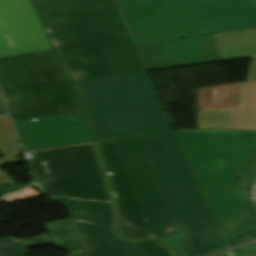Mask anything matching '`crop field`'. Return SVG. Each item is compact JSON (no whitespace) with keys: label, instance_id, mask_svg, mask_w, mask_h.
<instances>
[{"label":"crop field","instance_id":"obj_1","mask_svg":"<svg viewBox=\"0 0 256 256\" xmlns=\"http://www.w3.org/2000/svg\"><path fill=\"white\" fill-rule=\"evenodd\" d=\"M95 141L172 130L113 0H33Z\"/></svg>","mask_w":256,"mask_h":256},{"label":"crop field","instance_id":"obj_2","mask_svg":"<svg viewBox=\"0 0 256 256\" xmlns=\"http://www.w3.org/2000/svg\"><path fill=\"white\" fill-rule=\"evenodd\" d=\"M175 133L228 247L256 239V131Z\"/></svg>","mask_w":256,"mask_h":256},{"label":"crop field","instance_id":"obj_3","mask_svg":"<svg viewBox=\"0 0 256 256\" xmlns=\"http://www.w3.org/2000/svg\"><path fill=\"white\" fill-rule=\"evenodd\" d=\"M136 45L256 28V0H116Z\"/></svg>","mask_w":256,"mask_h":256},{"label":"crop field","instance_id":"obj_4","mask_svg":"<svg viewBox=\"0 0 256 256\" xmlns=\"http://www.w3.org/2000/svg\"><path fill=\"white\" fill-rule=\"evenodd\" d=\"M108 175L123 238L156 239L175 231L139 137L96 144Z\"/></svg>","mask_w":256,"mask_h":256},{"label":"crop field","instance_id":"obj_5","mask_svg":"<svg viewBox=\"0 0 256 256\" xmlns=\"http://www.w3.org/2000/svg\"><path fill=\"white\" fill-rule=\"evenodd\" d=\"M179 232L158 239L180 256L228 248L173 132L141 137Z\"/></svg>","mask_w":256,"mask_h":256},{"label":"crop field","instance_id":"obj_6","mask_svg":"<svg viewBox=\"0 0 256 256\" xmlns=\"http://www.w3.org/2000/svg\"><path fill=\"white\" fill-rule=\"evenodd\" d=\"M0 86L21 94L7 105L13 120L82 111L54 51L0 59Z\"/></svg>","mask_w":256,"mask_h":256},{"label":"crop field","instance_id":"obj_7","mask_svg":"<svg viewBox=\"0 0 256 256\" xmlns=\"http://www.w3.org/2000/svg\"><path fill=\"white\" fill-rule=\"evenodd\" d=\"M44 226L50 233L40 238L0 240V256H25L27 248L47 243L70 252L67 256H176L155 241H125L112 228L86 222L62 220Z\"/></svg>","mask_w":256,"mask_h":256},{"label":"crop field","instance_id":"obj_8","mask_svg":"<svg viewBox=\"0 0 256 256\" xmlns=\"http://www.w3.org/2000/svg\"><path fill=\"white\" fill-rule=\"evenodd\" d=\"M31 154L28 162L35 185L49 197L111 202L93 144Z\"/></svg>","mask_w":256,"mask_h":256},{"label":"crop field","instance_id":"obj_9","mask_svg":"<svg viewBox=\"0 0 256 256\" xmlns=\"http://www.w3.org/2000/svg\"><path fill=\"white\" fill-rule=\"evenodd\" d=\"M0 21L12 41L0 25V57L52 49L30 0H0Z\"/></svg>","mask_w":256,"mask_h":256},{"label":"crop field","instance_id":"obj_10","mask_svg":"<svg viewBox=\"0 0 256 256\" xmlns=\"http://www.w3.org/2000/svg\"><path fill=\"white\" fill-rule=\"evenodd\" d=\"M14 123L26 152L92 142L82 112Z\"/></svg>","mask_w":256,"mask_h":256},{"label":"crop field","instance_id":"obj_11","mask_svg":"<svg viewBox=\"0 0 256 256\" xmlns=\"http://www.w3.org/2000/svg\"><path fill=\"white\" fill-rule=\"evenodd\" d=\"M136 47L147 71L222 60L214 35Z\"/></svg>","mask_w":256,"mask_h":256},{"label":"crop field","instance_id":"obj_12","mask_svg":"<svg viewBox=\"0 0 256 256\" xmlns=\"http://www.w3.org/2000/svg\"><path fill=\"white\" fill-rule=\"evenodd\" d=\"M249 108L248 82L198 89V129L204 110Z\"/></svg>","mask_w":256,"mask_h":256},{"label":"crop field","instance_id":"obj_13","mask_svg":"<svg viewBox=\"0 0 256 256\" xmlns=\"http://www.w3.org/2000/svg\"><path fill=\"white\" fill-rule=\"evenodd\" d=\"M250 109L204 111L200 129L256 130V82H249Z\"/></svg>","mask_w":256,"mask_h":256},{"label":"crop field","instance_id":"obj_14","mask_svg":"<svg viewBox=\"0 0 256 256\" xmlns=\"http://www.w3.org/2000/svg\"><path fill=\"white\" fill-rule=\"evenodd\" d=\"M71 213L76 221L114 228L115 215L111 203L79 201L67 198H51Z\"/></svg>","mask_w":256,"mask_h":256},{"label":"crop field","instance_id":"obj_15","mask_svg":"<svg viewBox=\"0 0 256 256\" xmlns=\"http://www.w3.org/2000/svg\"><path fill=\"white\" fill-rule=\"evenodd\" d=\"M215 37L223 60L256 56V30Z\"/></svg>","mask_w":256,"mask_h":256},{"label":"crop field","instance_id":"obj_16","mask_svg":"<svg viewBox=\"0 0 256 256\" xmlns=\"http://www.w3.org/2000/svg\"><path fill=\"white\" fill-rule=\"evenodd\" d=\"M0 151L5 158L0 159V165L9 162H19L16 154L21 153L16 143V137L7 115H0ZM13 184L7 174L0 172V185Z\"/></svg>","mask_w":256,"mask_h":256},{"label":"crop field","instance_id":"obj_17","mask_svg":"<svg viewBox=\"0 0 256 256\" xmlns=\"http://www.w3.org/2000/svg\"><path fill=\"white\" fill-rule=\"evenodd\" d=\"M34 196H39V194L36 191L27 188L23 191H20L16 194L4 199L3 201L11 203L16 200H23V199L34 197Z\"/></svg>","mask_w":256,"mask_h":256},{"label":"crop field","instance_id":"obj_18","mask_svg":"<svg viewBox=\"0 0 256 256\" xmlns=\"http://www.w3.org/2000/svg\"><path fill=\"white\" fill-rule=\"evenodd\" d=\"M233 256H256V243L231 250Z\"/></svg>","mask_w":256,"mask_h":256},{"label":"crop field","instance_id":"obj_19","mask_svg":"<svg viewBox=\"0 0 256 256\" xmlns=\"http://www.w3.org/2000/svg\"><path fill=\"white\" fill-rule=\"evenodd\" d=\"M247 81H256V58L252 59Z\"/></svg>","mask_w":256,"mask_h":256},{"label":"crop field","instance_id":"obj_20","mask_svg":"<svg viewBox=\"0 0 256 256\" xmlns=\"http://www.w3.org/2000/svg\"><path fill=\"white\" fill-rule=\"evenodd\" d=\"M0 114H7L6 110H5V107H4V104L2 102L1 96H0Z\"/></svg>","mask_w":256,"mask_h":256},{"label":"crop field","instance_id":"obj_21","mask_svg":"<svg viewBox=\"0 0 256 256\" xmlns=\"http://www.w3.org/2000/svg\"><path fill=\"white\" fill-rule=\"evenodd\" d=\"M217 256H229L228 252L226 253H223V254H220V255H217Z\"/></svg>","mask_w":256,"mask_h":256},{"label":"crop field","instance_id":"obj_22","mask_svg":"<svg viewBox=\"0 0 256 256\" xmlns=\"http://www.w3.org/2000/svg\"><path fill=\"white\" fill-rule=\"evenodd\" d=\"M197 131H215V130H197Z\"/></svg>","mask_w":256,"mask_h":256}]
</instances>
